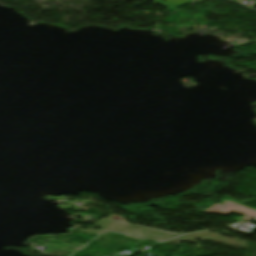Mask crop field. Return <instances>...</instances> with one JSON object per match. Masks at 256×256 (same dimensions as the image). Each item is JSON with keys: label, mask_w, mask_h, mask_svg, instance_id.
<instances>
[{"label": "crop field", "mask_w": 256, "mask_h": 256, "mask_svg": "<svg viewBox=\"0 0 256 256\" xmlns=\"http://www.w3.org/2000/svg\"><path fill=\"white\" fill-rule=\"evenodd\" d=\"M237 212L246 215L245 217L241 219H246L249 220L253 217H256V211L242 207L240 205L234 204L232 202H226L224 205L217 204L210 208L207 211H204L206 213H211V214H220V215H228L230 212Z\"/></svg>", "instance_id": "1"}, {"label": "crop field", "mask_w": 256, "mask_h": 256, "mask_svg": "<svg viewBox=\"0 0 256 256\" xmlns=\"http://www.w3.org/2000/svg\"><path fill=\"white\" fill-rule=\"evenodd\" d=\"M171 4V10H178L179 7L186 5L191 2V0H164Z\"/></svg>", "instance_id": "2"}]
</instances>
